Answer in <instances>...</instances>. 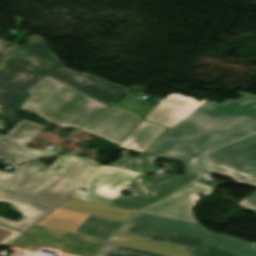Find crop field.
Instances as JSON below:
<instances>
[{"label":"crop field","instance_id":"crop-field-1","mask_svg":"<svg viewBox=\"0 0 256 256\" xmlns=\"http://www.w3.org/2000/svg\"><path fill=\"white\" fill-rule=\"evenodd\" d=\"M241 98L222 103L209 100L173 129H168L146 152L184 162L200 173L207 152L256 131V95L240 91Z\"/></svg>","mask_w":256,"mask_h":256},{"label":"crop field","instance_id":"crop-field-2","mask_svg":"<svg viewBox=\"0 0 256 256\" xmlns=\"http://www.w3.org/2000/svg\"><path fill=\"white\" fill-rule=\"evenodd\" d=\"M42 38L31 36L24 47L17 45L0 67V118L12 120L30 96L27 91L47 74L108 104L130 90L68 69Z\"/></svg>","mask_w":256,"mask_h":256},{"label":"crop field","instance_id":"crop-field-3","mask_svg":"<svg viewBox=\"0 0 256 256\" xmlns=\"http://www.w3.org/2000/svg\"><path fill=\"white\" fill-rule=\"evenodd\" d=\"M62 165L59 171L57 167ZM100 163L73 155L61 156L50 168L36 162L21 166L5 190L25 194L57 205L67 201L100 167ZM39 170H42L39 172Z\"/></svg>","mask_w":256,"mask_h":256},{"label":"crop field","instance_id":"crop-field-4","mask_svg":"<svg viewBox=\"0 0 256 256\" xmlns=\"http://www.w3.org/2000/svg\"><path fill=\"white\" fill-rule=\"evenodd\" d=\"M98 256H236L201 238L128 223Z\"/></svg>","mask_w":256,"mask_h":256},{"label":"crop field","instance_id":"crop-field-5","mask_svg":"<svg viewBox=\"0 0 256 256\" xmlns=\"http://www.w3.org/2000/svg\"><path fill=\"white\" fill-rule=\"evenodd\" d=\"M143 167L142 154L140 158H129V150L122 151L120 160L101 166L72 197L135 210L149 193L141 184L147 175ZM83 187L89 192L80 191ZM122 190H129L133 195L122 196L119 194Z\"/></svg>","mask_w":256,"mask_h":256},{"label":"crop field","instance_id":"crop-field-6","mask_svg":"<svg viewBox=\"0 0 256 256\" xmlns=\"http://www.w3.org/2000/svg\"><path fill=\"white\" fill-rule=\"evenodd\" d=\"M29 92L32 94L23 108L62 127L81 126L108 106L48 76Z\"/></svg>","mask_w":256,"mask_h":256},{"label":"crop field","instance_id":"crop-field-7","mask_svg":"<svg viewBox=\"0 0 256 256\" xmlns=\"http://www.w3.org/2000/svg\"><path fill=\"white\" fill-rule=\"evenodd\" d=\"M124 223L59 207L29 232L101 248Z\"/></svg>","mask_w":256,"mask_h":256},{"label":"crop field","instance_id":"crop-field-8","mask_svg":"<svg viewBox=\"0 0 256 256\" xmlns=\"http://www.w3.org/2000/svg\"><path fill=\"white\" fill-rule=\"evenodd\" d=\"M131 222L196 235L199 237H203L214 245H217L220 248L231 251L233 253L242 256H256V248L234 241L219 234H215L198 224L169 219L141 212H138L131 220Z\"/></svg>","mask_w":256,"mask_h":256},{"label":"crop field","instance_id":"crop-field-9","mask_svg":"<svg viewBox=\"0 0 256 256\" xmlns=\"http://www.w3.org/2000/svg\"><path fill=\"white\" fill-rule=\"evenodd\" d=\"M43 126L20 121L6 136L0 135V157L14 164L54 156L56 151L26 148L23 144L34 138ZM11 138H8V137Z\"/></svg>","mask_w":256,"mask_h":256},{"label":"crop field","instance_id":"crop-field-10","mask_svg":"<svg viewBox=\"0 0 256 256\" xmlns=\"http://www.w3.org/2000/svg\"><path fill=\"white\" fill-rule=\"evenodd\" d=\"M142 120L134 112L111 106L86 126L84 125L85 127L81 130L120 144L134 131Z\"/></svg>","mask_w":256,"mask_h":256},{"label":"crop field","instance_id":"crop-field-11","mask_svg":"<svg viewBox=\"0 0 256 256\" xmlns=\"http://www.w3.org/2000/svg\"><path fill=\"white\" fill-rule=\"evenodd\" d=\"M212 190L213 189L210 187L195 182L175 195L154 204L141 212L198 223L191 208L195 206V202L201 198L197 196L198 193L206 195L211 193ZM174 203H176V205H173Z\"/></svg>","mask_w":256,"mask_h":256},{"label":"crop field","instance_id":"crop-field-12","mask_svg":"<svg viewBox=\"0 0 256 256\" xmlns=\"http://www.w3.org/2000/svg\"><path fill=\"white\" fill-rule=\"evenodd\" d=\"M209 160L256 176V134L216 150Z\"/></svg>","mask_w":256,"mask_h":256},{"label":"crop field","instance_id":"crop-field-13","mask_svg":"<svg viewBox=\"0 0 256 256\" xmlns=\"http://www.w3.org/2000/svg\"><path fill=\"white\" fill-rule=\"evenodd\" d=\"M206 101L199 103L187 96L169 93L146 120L172 128Z\"/></svg>","mask_w":256,"mask_h":256},{"label":"crop field","instance_id":"crop-field-14","mask_svg":"<svg viewBox=\"0 0 256 256\" xmlns=\"http://www.w3.org/2000/svg\"><path fill=\"white\" fill-rule=\"evenodd\" d=\"M0 201L14 204L12 208L24 214L23 219L19 222L0 217V223L24 231L30 229L33 225L58 208L57 206L5 191L0 194Z\"/></svg>","mask_w":256,"mask_h":256},{"label":"crop field","instance_id":"crop-field-15","mask_svg":"<svg viewBox=\"0 0 256 256\" xmlns=\"http://www.w3.org/2000/svg\"><path fill=\"white\" fill-rule=\"evenodd\" d=\"M184 171L186 175L155 176L145 180V184L152 188V196L150 199L143 202L142 207L167 196L171 192L198 177V175L190 171Z\"/></svg>","mask_w":256,"mask_h":256},{"label":"crop field","instance_id":"crop-field-16","mask_svg":"<svg viewBox=\"0 0 256 256\" xmlns=\"http://www.w3.org/2000/svg\"><path fill=\"white\" fill-rule=\"evenodd\" d=\"M165 128L143 120L120 147L144 152Z\"/></svg>","mask_w":256,"mask_h":256},{"label":"crop field","instance_id":"crop-field-17","mask_svg":"<svg viewBox=\"0 0 256 256\" xmlns=\"http://www.w3.org/2000/svg\"><path fill=\"white\" fill-rule=\"evenodd\" d=\"M62 206L78 209L82 211L92 212L96 214L106 215L110 217L120 218L124 220H127L131 216V214L134 212L132 210L105 206V205L77 200L73 198H70Z\"/></svg>","mask_w":256,"mask_h":256},{"label":"crop field","instance_id":"crop-field-18","mask_svg":"<svg viewBox=\"0 0 256 256\" xmlns=\"http://www.w3.org/2000/svg\"><path fill=\"white\" fill-rule=\"evenodd\" d=\"M207 171L227 175L233 177L234 181L249 184L256 187V177L245 174L243 172L222 166L220 164L208 161Z\"/></svg>","mask_w":256,"mask_h":256},{"label":"crop field","instance_id":"crop-field-19","mask_svg":"<svg viewBox=\"0 0 256 256\" xmlns=\"http://www.w3.org/2000/svg\"><path fill=\"white\" fill-rule=\"evenodd\" d=\"M14 46V44L0 39V64L9 54V52L14 48Z\"/></svg>","mask_w":256,"mask_h":256},{"label":"crop field","instance_id":"crop-field-20","mask_svg":"<svg viewBox=\"0 0 256 256\" xmlns=\"http://www.w3.org/2000/svg\"><path fill=\"white\" fill-rule=\"evenodd\" d=\"M1 228H5L8 229L12 232H14L13 234H11L10 236H8L7 238H5L4 240H2L0 243L9 245L10 243H12L14 240H16L19 236H21L24 232L0 225Z\"/></svg>","mask_w":256,"mask_h":256},{"label":"crop field","instance_id":"crop-field-21","mask_svg":"<svg viewBox=\"0 0 256 256\" xmlns=\"http://www.w3.org/2000/svg\"><path fill=\"white\" fill-rule=\"evenodd\" d=\"M145 158H146V161H147V167H146V169H147L148 171L154 170V169L157 167L156 161H157V159H159V158H156V157H153V156H149V155H146V154H145ZM152 172H153V171H152Z\"/></svg>","mask_w":256,"mask_h":256},{"label":"crop field","instance_id":"crop-field-22","mask_svg":"<svg viewBox=\"0 0 256 256\" xmlns=\"http://www.w3.org/2000/svg\"><path fill=\"white\" fill-rule=\"evenodd\" d=\"M12 173L0 171V189L12 178Z\"/></svg>","mask_w":256,"mask_h":256},{"label":"crop field","instance_id":"crop-field-23","mask_svg":"<svg viewBox=\"0 0 256 256\" xmlns=\"http://www.w3.org/2000/svg\"><path fill=\"white\" fill-rule=\"evenodd\" d=\"M247 201L244 203V205L248 207H253L256 205V192L246 197Z\"/></svg>","mask_w":256,"mask_h":256},{"label":"crop field","instance_id":"crop-field-24","mask_svg":"<svg viewBox=\"0 0 256 256\" xmlns=\"http://www.w3.org/2000/svg\"><path fill=\"white\" fill-rule=\"evenodd\" d=\"M221 235H224V236H227V237H229V238L235 239V240H237V241H240V242H242V243L248 244V245H250V246L254 245V243L246 242V241L241 240V239H239V238H236V237H234V236H230V235H226V234H221Z\"/></svg>","mask_w":256,"mask_h":256},{"label":"crop field","instance_id":"crop-field-25","mask_svg":"<svg viewBox=\"0 0 256 256\" xmlns=\"http://www.w3.org/2000/svg\"><path fill=\"white\" fill-rule=\"evenodd\" d=\"M253 211H255L256 212V206L255 207H253V208H251Z\"/></svg>","mask_w":256,"mask_h":256}]
</instances>
